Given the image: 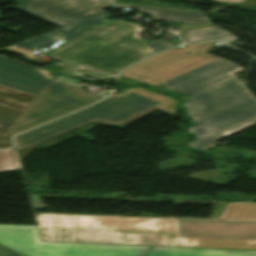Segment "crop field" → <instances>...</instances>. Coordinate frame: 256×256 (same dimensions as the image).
<instances>
[{
    "mask_svg": "<svg viewBox=\"0 0 256 256\" xmlns=\"http://www.w3.org/2000/svg\"><path fill=\"white\" fill-rule=\"evenodd\" d=\"M137 24L110 20L47 55L117 74L155 52L138 36Z\"/></svg>",
    "mask_w": 256,
    "mask_h": 256,
    "instance_id": "crop-field-3",
    "label": "crop field"
},
{
    "mask_svg": "<svg viewBox=\"0 0 256 256\" xmlns=\"http://www.w3.org/2000/svg\"><path fill=\"white\" fill-rule=\"evenodd\" d=\"M18 252L0 244V256H18Z\"/></svg>",
    "mask_w": 256,
    "mask_h": 256,
    "instance_id": "crop-field-18",
    "label": "crop field"
},
{
    "mask_svg": "<svg viewBox=\"0 0 256 256\" xmlns=\"http://www.w3.org/2000/svg\"><path fill=\"white\" fill-rule=\"evenodd\" d=\"M104 97L84 89L53 80L11 130L19 133L45 123Z\"/></svg>",
    "mask_w": 256,
    "mask_h": 256,
    "instance_id": "crop-field-6",
    "label": "crop field"
},
{
    "mask_svg": "<svg viewBox=\"0 0 256 256\" xmlns=\"http://www.w3.org/2000/svg\"><path fill=\"white\" fill-rule=\"evenodd\" d=\"M19 256H24V255H22V254H19Z\"/></svg>",
    "mask_w": 256,
    "mask_h": 256,
    "instance_id": "crop-field-19",
    "label": "crop field"
},
{
    "mask_svg": "<svg viewBox=\"0 0 256 256\" xmlns=\"http://www.w3.org/2000/svg\"><path fill=\"white\" fill-rule=\"evenodd\" d=\"M164 105L133 92L108 98L80 112L14 137L19 160L29 155L39 143L79 126L94 123L122 128Z\"/></svg>",
    "mask_w": 256,
    "mask_h": 256,
    "instance_id": "crop-field-4",
    "label": "crop field"
},
{
    "mask_svg": "<svg viewBox=\"0 0 256 256\" xmlns=\"http://www.w3.org/2000/svg\"><path fill=\"white\" fill-rule=\"evenodd\" d=\"M0 243L26 256H146L152 247L42 242L37 226L0 224Z\"/></svg>",
    "mask_w": 256,
    "mask_h": 256,
    "instance_id": "crop-field-5",
    "label": "crop field"
},
{
    "mask_svg": "<svg viewBox=\"0 0 256 256\" xmlns=\"http://www.w3.org/2000/svg\"><path fill=\"white\" fill-rule=\"evenodd\" d=\"M22 169L16 149L0 151V172Z\"/></svg>",
    "mask_w": 256,
    "mask_h": 256,
    "instance_id": "crop-field-15",
    "label": "crop field"
},
{
    "mask_svg": "<svg viewBox=\"0 0 256 256\" xmlns=\"http://www.w3.org/2000/svg\"><path fill=\"white\" fill-rule=\"evenodd\" d=\"M117 7L132 8L140 10L144 13L151 14V18L180 21L187 23H207L212 24L210 20L202 12L167 9L150 6L130 5L115 3ZM144 9V10H141Z\"/></svg>",
    "mask_w": 256,
    "mask_h": 256,
    "instance_id": "crop-field-11",
    "label": "crop field"
},
{
    "mask_svg": "<svg viewBox=\"0 0 256 256\" xmlns=\"http://www.w3.org/2000/svg\"><path fill=\"white\" fill-rule=\"evenodd\" d=\"M37 96L0 85V148L10 147V129L17 123Z\"/></svg>",
    "mask_w": 256,
    "mask_h": 256,
    "instance_id": "crop-field-9",
    "label": "crop field"
},
{
    "mask_svg": "<svg viewBox=\"0 0 256 256\" xmlns=\"http://www.w3.org/2000/svg\"><path fill=\"white\" fill-rule=\"evenodd\" d=\"M183 35L186 42H195L209 39L225 41L238 40L236 36L216 26L182 24Z\"/></svg>",
    "mask_w": 256,
    "mask_h": 256,
    "instance_id": "crop-field-13",
    "label": "crop field"
},
{
    "mask_svg": "<svg viewBox=\"0 0 256 256\" xmlns=\"http://www.w3.org/2000/svg\"><path fill=\"white\" fill-rule=\"evenodd\" d=\"M232 7L246 10H256V0H216Z\"/></svg>",
    "mask_w": 256,
    "mask_h": 256,
    "instance_id": "crop-field-16",
    "label": "crop field"
},
{
    "mask_svg": "<svg viewBox=\"0 0 256 256\" xmlns=\"http://www.w3.org/2000/svg\"><path fill=\"white\" fill-rule=\"evenodd\" d=\"M43 241L256 249V204L227 205L218 220L35 213Z\"/></svg>",
    "mask_w": 256,
    "mask_h": 256,
    "instance_id": "crop-field-2",
    "label": "crop field"
},
{
    "mask_svg": "<svg viewBox=\"0 0 256 256\" xmlns=\"http://www.w3.org/2000/svg\"><path fill=\"white\" fill-rule=\"evenodd\" d=\"M148 256H256V251L153 247Z\"/></svg>",
    "mask_w": 256,
    "mask_h": 256,
    "instance_id": "crop-field-12",
    "label": "crop field"
},
{
    "mask_svg": "<svg viewBox=\"0 0 256 256\" xmlns=\"http://www.w3.org/2000/svg\"><path fill=\"white\" fill-rule=\"evenodd\" d=\"M213 43L187 45L157 54L122 73L192 96L184 106L199 125L188 129L197 136L188 145L202 151L256 124V99L233 75L244 68L205 53Z\"/></svg>",
    "mask_w": 256,
    "mask_h": 256,
    "instance_id": "crop-field-1",
    "label": "crop field"
},
{
    "mask_svg": "<svg viewBox=\"0 0 256 256\" xmlns=\"http://www.w3.org/2000/svg\"><path fill=\"white\" fill-rule=\"evenodd\" d=\"M109 6L110 0H24L16 9L64 27L87 18L111 19L102 11Z\"/></svg>",
    "mask_w": 256,
    "mask_h": 256,
    "instance_id": "crop-field-7",
    "label": "crop field"
},
{
    "mask_svg": "<svg viewBox=\"0 0 256 256\" xmlns=\"http://www.w3.org/2000/svg\"><path fill=\"white\" fill-rule=\"evenodd\" d=\"M129 91H133V92H136V93L141 94L143 96H146V97H149L151 99H154L156 101L165 103L167 105L162 107V108H160L159 110L168 112V113L173 114L175 116L177 115V110H179V109L176 108V107H173V105L175 104V101L170 99L169 97L149 92V91H147L146 88H143V87H140L138 89L125 90L124 94L129 92Z\"/></svg>",
    "mask_w": 256,
    "mask_h": 256,
    "instance_id": "crop-field-14",
    "label": "crop field"
},
{
    "mask_svg": "<svg viewBox=\"0 0 256 256\" xmlns=\"http://www.w3.org/2000/svg\"><path fill=\"white\" fill-rule=\"evenodd\" d=\"M155 52H158L160 50L166 49L168 47L173 46L172 43L158 39L154 40L152 42L147 43Z\"/></svg>",
    "mask_w": 256,
    "mask_h": 256,
    "instance_id": "crop-field-17",
    "label": "crop field"
},
{
    "mask_svg": "<svg viewBox=\"0 0 256 256\" xmlns=\"http://www.w3.org/2000/svg\"><path fill=\"white\" fill-rule=\"evenodd\" d=\"M27 64L0 57V84L39 95L55 75Z\"/></svg>",
    "mask_w": 256,
    "mask_h": 256,
    "instance_id": "crop-field-8",
    "label": "crop field"
},
{
    "mask_svg": "<svg viewBox=\"0 0 256 256\" xmlns=\"http://www.w3.org/2000/svg\"><path fill=\"white\" fill-rule=\"evenodd\" d=\"M106 21L108 20L88 19L3 49L21 52L25 57L35 60L36 58L34 57L36 55L32 54L34 51L49 46L61 39L71 40Z\"/></svg>",
    "mask_w": 256,
    "mask_h": 256,
    "instance_id": "crop-field-10",
    "label": "crop field"
}]
</instances>
